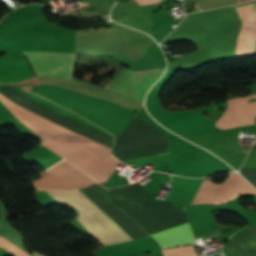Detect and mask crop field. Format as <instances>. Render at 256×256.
<instances>
[{"label":"crop field","mask_w":256,"mask_h":256,"mask_svg":"<svg viewBox=\"0 0 256 256\" xmlns=\"http://www.w3.org/2000/svg\"><path fill=\"white\" fill-rule=\"evenodd\" d=\"M0 101L16 118L43 139V145L63 156L97 182L104 183L121 164L110 148L32 113L0 93Z\"/></svg>","instance_id":"1"},{"label":"crop field","mask_w":256,"mask_h":256,"mask_svg":"<svg viewBox=\"0 0 256 256\" xmlns=\"http://www.w3.org/2000/svg\"><path fill=\"white\" fill-rule=\"evenodd\" d=\"M31 63L36 75H56L73 78L75 68V54L53 52L22 51ZM164 69H150L147 71L121 70L105 88L134 97L143 102L148 89L163 73ZM136 99V100H137ZM138 100V101H139Z\"/></svg>","instance_id":"2"},{"label":"crop field","mask_w":256,"mask_h":256,"mask_svg":"<svg viewBox=\"0 0 256 256\" xmlns=\"http://www.w3.org/2000/svg\"><path fill=\"white\" fill-rule=\"evenodd\" d=\"M58 202L78 210L76 218L102 245L136 239L82 189L46 191Z\"/></svg>","instance_id":"3"},{"label":"crop field","mask_w":256,"mask_h":256,"mask_svg":"<svg viewBox=\"0 0 256 256\" xmlns=\"http://www.w3.org/2000/svg\"><path fill=\"white\" fill-rule=\"evenodd\" d=\"M202 179H190L172 176L171 190L166 198L167 201L190 205ZM256 194V190L247 184L240 176L229 173L225 182L214 184L203 180L192 204H222L233 200L242 193Z\"/></svg>","instance_id":"4"},{"label":"crop field","mask_w":256,"mask_h":256,"mask_svg":"<svg viewBox=\"0 0 256 256\" xmlns=\"http://www.w3.org/2000/svg\"><path fill=\"white\" fill-rule=\"evenodd\" d=\"M45 172L38 180H34L35 188L68 190L86 187L95 182L66 159Z\"/></svg>","instance_id":"5"},{"label":"crop field","mask_w":256,"mask_h":256,"mask_svg":"<svg viewBox=\"0 0 256 256\" xmlns=\"http://www.w3.org/2000/svg\"><path fill=\"white\" fill-rule=\"evenodd\" d=\"M250 98H256V95L228 101V109L215 125L221 129H227L254 124L256 102L248 103L247 99Z\"/></svg>","instance_id":"6"},{"label":"crop field","mask_w":256,"mask_h":256,"mask_svg":"<svg viewBox=\"0 0 256 256\" xmlns=\"http://www.w3.org/2000/svg\"><path fill=\"white\" fill-rule=\"evenodd\" d=\"M151 236L158 241L162 249L194 243V235L188 223Z\"/></svg>","instance_id":"7"},{"label":"crop field","mask_w":256,"mask_h":256,"mask_svg":"<svg viewBox=\"0 0 256 256\" xmlns=\"http://www.w3.org/2000/svg\"><path fill=\"white\" fill-rule=\"evenodd\" d=\"M255 13H256V3L251 4ZM251 5L243 6L247 16L249 18L250 22V28L246 37V42H245V48H244V54L243 57L251 56L252 54V48H253V42H254V37L256 33V15L251 7ZM252 56H256V38L254 42V48H253V54Z\"/></svg>","instance_id":"8"},{"label":"crop field","mask_w":256,"mask_h":256,"mask_svg":"<svg viewBox=\"0 0 256 256\" xmlns=\"http://www.w3.org/2000/svg\"><path fill=\"white\" fill-rule=\"evenodd\" d=\"M164 256H197L193 246L176 247L162 251Z\"/></svg>","instance_id":"9"},{"label":"crop field","mask_w":256,"mask_h":256,"mask_svg":"<svg viewBox=\"0 0 256 256\" xmlns=\"http://www.w3.org/2000/svg\"><path fill=\"white\" fill-rule=\"evenodd\" d=\"M0 246L3 247L4 249H6L7 251H9L10 253H12L15 256H31L30 254H28L24 250L20 249L19 247H17L13 243H11L10 241H8V240H6L2 237H0Z\"/></svg>","instance_id":"10"},{"label":"crop field","mask_w":256,"mask_h":256,"mask_svg":"<svg viewBox=\"0 0 256 256\" xmlns=\"http://www.w3.org/2000/svg\"><path fill=\"white\" fill-rule=\"evenodd\" d=\"M137 3L141 0H136ZM159 0H142L141 2H139L140 5H144V4H152V3H157Z\"/></svg>","instance_id":"11"},{"label":"crop field","mask_w":256,"mask_h":256,"mask_svg":"<svg viewBox=\"0 0 256 256\" xmlns=\"http://www.w3.org/2000/svg\"><path fill=\"white\" fill-rule=\"evenodd\" d=\"M141 256H163L161 251L158 252H154V253H150V254H146V255H141Z\"/></svg>","instance_id":"12"},{"label":"crop field","mask_w":256,"mask_h":256,"mask_svg":"<svg viewBox=\"0 0 256 256\" xmlns=\"http://www.w3.org/2000/svg\"><path fill=\"white\" fill-rule=\"evenodd\" d=\"M245 1H249V0H239V3H241V2H245Z\"/></svg>","instance_id":"13"},{"label":"crop field","mask_w":256,"mask_h":256,"mask_svg":"<svg viewBox=\"0 0 256 256\" xmlns=\"http://www.w3.org/2000/svg\"><path fill=\"white\" fill-rule=\"evenodd\" d=\"M35 256H42V255L35 253Z\"/></svg>","instance_id":"14"},{"label":"crop field","mask_w":256,"mask_h":256,"mask_svg":"<svg viewBox=\"0 0 256 256\" xmlns=\"http://www.w3.org/2000/svg\"><path fill=\"white\" fill-rule=\"evenodd\" d=\"M194 3H195V1H194ZM195 5H196V3H195ZM196 7H197V5H196ZM197 9H198V7H197ZM198 11H199V9H198Z\"/></svg>","instance_id":"15"}]
</instances>
